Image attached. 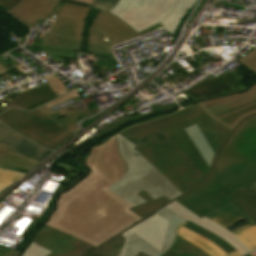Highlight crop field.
I'll return each mask as SVG.
<instances>
[{"instance_id": "1", "label": "crop field", "mask_w": 256, "mask_h": 256, "mask_svg": "<svg viewBox=\"0 0 256 256\" xmlns=\"http://www.w3.org/2000/svg\"><path fill=\"white\" fill-rule=\"evenodd\" d=\"M113 184L92 170L80 184L60 195L57 210L46 223L96 247L142 220L129 210L133 205L106 190Z\"/></svg>"}, {"instance_id": "2", "label": "crop field", "mask_w": 256, "mask_h": 256, "mask_svg": "<svg viewBox=\"0 0 256 256\" xmlns=\"http://www.w3.org/2000/svg\"><path fill=\"white\" fill-rule=\"evenodd\" d=\"M255 179L256 115L241 122L228 138L205 182L176 201L201 219L231 203L244 218L255 225L228 195L245 190Z\"/></svg>"}, {"instance_id": "3", "label": "crop field", "mask_w": 256, "mask_h": 256, "mask_svg": "<svg viewBox=\"0 0 256 256\" xmlns=\"http://www.w3.org/2000/svg\"><path fill=\"white\" fill-rule=\"evenodd\" d=\"M189 126L190 123L179 111L123 130L136 140L159 131L169 138L162 144L153 137L136 150L182 194L200 184L210 172L183 130Z\"/></svg>"}, {"instance_id": "4", "label": "crop field", "mask_w": 256, "mask_h": 256, "mask_svg": "<svg viewBox=\"0 0 256 256\" xmlns=\"http://www.w3.org/2000/svg\"><path fill=\"white\" fill-rule=\"evenodd\" d=\"M118 152L126 165L124 177L109 191L137 206L145 203L137 194L145 190L153 199L165 196L171 200L182 195L162 174L148 163L135 145L116 134Z\"/></svg>"}, {"instance_id": "5", "label": "crop field", "mask_w": 256, "mask_h": 256, "mask_svg": "<svg viewBox=\"0 0 256 256\" xmlns=\"http://www.w3.org/2000/svg\"><path fill=\"white\" fill-rule=\"evenodd\" d=\"M198 0H120L110 13L137 33L161 23L173 36L180 20Z\"/></svg>"}, {"instance_id": "6", "label": "crop field", "mask_w": 256, "mask_h": 256, "mask_svg": "<svg viewBox=\"0 0 256 256\" xmlns=\"http://www.w3.org/2000/svg\"><path fill=\"white\" fill-rule=\"evenodd\" d=\"M0 122L51 150H56L71 137L38 109L24 112L12 108L0 114Z\"/></svg>"}, {"instance_id": "7", "label": "crop field", "mask_w": 256, "mask_h": 256, "mask_svg": "<svg viewBox=\"0 0 256 256\" xmlns=\"http://www.w3.org/2000/svg\"><path fill=\"white\" fill-rule=\"evenodd\" d=\"M197 104L210 117L233 130L242 119L256 113V85L245 93Z\"/></svg>"}, {"instance_id": "8", "label": "crop field", "mask_w": 256, "mask_h": 256, "mask_svg": "<svg viewBox=\"0 0 256 256\" xmlns=\"http://www.w3.org/2000/svg\"><path fill=\"white\" fill-rule=\"evenodd\" d=\"M33 242L52 253L48 256H84L94 247L48 225H44L35 235Z\"/></svg>"}, {"instance_id": "9", "label": "crop field", "mask_w": 256, "mask_h": 256, "mask_svg": "<svg viewBox=\"0 0 256 256\" xmlns=\"http://www.w3.org/2000/svg\"><path fill=\"white\" fill-rule=\"evenodd\" d=\"M86 166L97 169L115 183L122 178L125 165L117 153L115 136L103 145L91 148L86 158Z\"/></svg>"}, {"instance_id": "10", "label": "crop field", "mask_w": 256, "mask_h": 256, "mask_svg": "<svg viewBox=\"0 0 256 256\" xmlns=\"http://www.w3.org/2000/svg\"><path fill=\"white\" fill-rule=\"evenodd\" d=\"M90 8L76 4L65 3L60 15L47 34L53 36L81 40L85 18Z\"/></svg>"}, {"instance_id": "11", "label": "crop field", "mask_w": 256, "mask_h": 256, "mask_svg": "<svg viewBox=\"0 0 256 256\" xmlns=\"http://www.w3.org/2000/svg\"><path fill=\"white\" fill-rule=\"evenodd\" d=\"M168 224L169 222L160 217L158 214L154 213L143 221L134 225L133 227L122 233L126 237V240L123 250H121L117 256H125L127 237L134 233H136L141 239L156 248L158 251H161Z\"/></svg>"}, {"instance_id": "12", "label": "crop field", "mask_w": 256, "mask_h": 256, "mask_svg": "<svg viewBox=\"0 0 256 256\" xmlns=\"http://www.w3.org/2000/svg\"><path fill=\"white\" fill-rule=\"evenodd\" d=\"M247 89L245 86L224 74L219 78L209 76L184 92L194 101L226 95L235 91H243Z\"/></svg>"}, {"instance_id": "13", "label": "crop field", "mask_w": 256, "mask_h": 256, "mask_svg": "<svg viewBox=\"0 0 256 256\" xmlns=\"http://www.w3.org/2000/svg\"><path fill=\"white\" fill-rule=\"evenodd\" d=\"M0 148L42 162L53 152L40 147L0 123Z\"/></svg>"}, {"instance_id": "14", "label": "crop field", "mask_w": 256, "mask_h": 256, "mask_svg": "<svg viewBox=\"0 0 256 256\" xmlns=\"http://www.w3.org/2000/svg\"><path fill=\"white\" fill-rule=\"evenodd\" d=\"M93 29L100 32L113 44L138 37V35L121 20L109 13L100 11L90 29L89 53H91Z\"/></svg>"}, {"instance_id": "15", "label": "crop field", "mask_w": 256, "mask_h": 256, "mask_svg": "<svg viewBox=\"0 0 256 256\" xmlns=\"http://www.w3.org/2000/svg\"><path fill=\"white\" fill-rule=\"evenodd\" d=\"M168 209L176 213L178 216L183 218L184 220H189L220 237L221 239L228 242L231 246H233L236 250H238L241 254L248 253L250 250L232 233L221 227L220 225L206 219L203 217L201 220L193 213L189 212L185 208H183L180 204L174 201L172 204L166 206Z\"/></svg>"}, {"instance_id": "16", "label": "crop field", "mask_w": 256, "mask_h": 256, "mask_svg": "<svg viewBox=\"0 0 256 256\" xmlns=\"http://www.w3.org/2000/svg\"><path fill=\"white\" fill-rule=\"evenodd\" d=\"M58 2L55 0H21L8 12L28 27L33 28L39 18H47Z\"/></svg>"}, {"instance_id": "17", "label": "crop field", "mask_w": 256, "mask_h": 256, "mask_svg": "<svg viewBox=\"0 0 256 256\" xmlns=\"http://www.w3.org/2000/svg\"><path fill=\"white\" fill-rule=\"evenodd\" d=\"M89 107L81 110L72 109L70 106L62 110L52 113L45 105L38 108L48 118L55 122L61 128L63 127L68 133L73 136V131L76 129L75 123L86 117H90L91 114L88 110Z\"/></svg>"}, {"instance_id": "18", "label": "crop field", "mask_w": 256, "mask_h": 256, "mask_svg": "<svg viewBox=\"0 0 256 256\" xmlns=\"http://www.w3.org/2000/svg\"><path fill=\"white\" fill-rule=\"evenodd\" d=\"M197 126L214 156L232 131L210 117L197 123ZM212 128H214V130H212Z\"/></svg>"}, {"instance_id": "19", "label": "crop field", "mask_w": 256, "mask_h": 256, "mask_svg": "<svg viewBox=\"0 0 256 256\" xmlns=\"http://www.w3.org/2000/svg\"><path fill=\"white\" fill-rule=\"evenodd\" d=\"M52 95L56 98L54 92L48 85H44L30 91L17 95L18 97L13 99L22 109H28L38 104L51 99L48 95Z\"/></svg>"}, {"instance_id": "20", "label": "crop field", "mask_w": 256, "mask_h": 256, "mask_svg": "<svg viewBox=\"0 0 256 256\" xmlns=\"http://www.w3.org/2000/svg\"><path fill=\"white\" fill-rule=\"evenodd\" d=\"M177 235L181 236L182 238L186 239L187 241L191 242L195 246L199 247L210 256H224L226 255L219 247H217L212 242L206 240L205 238L179 226L177 228Z\"/></svg>"}, {"instance_id": "21", "label": "crop field", "mask_w": 256, "mask_h": 256, "mask_svg": "<svg viewBox=\"0 0 256 256\" xmlns=\"http://www.w3.org/2000/svg\"><path fill=\"white\" fill-rule=\"evenodd\" d=\"M243 211L256 223V191L246 189L230 195Z\"/></svg>"}, {"instance_id": "22", "label": "crop field", "mask_w": 256, "mask_h": 256, "mask_svg": "<svg viewBox=\"0 0 256 256\" xmlns=\"http://www.w3.org/2000/svg\"><path fill=\"white\" fill-rule=\"evenodd\" d=\"M40 162L0 149V165L32 170Z\"/></svg>"}, {"instance_id": "23", "label": "crop field", "mask_w": 256, "mask_h": 256, "mask_svg": "<svg viewBox=\"0 0 256 256\" xmlns=\"http://www.w3.org/2000/svg\"><path fill=\"white\" fill-rule=\"evenodd\" d=\"M141 198H143L147 203L142 204L140 206L131 208L130 210L133 211L135 214H137L142 219L154 212L155 210L165 206L171 200L161 197L158 199L153 200L145 191L138 194Z\"/></svg>"}, {"instance_id": "24", "label": "crop field", "mask_w": 256, "mask_h": 256, "mask_svg": "<svg viewBox=\"0 0 256 256\" xmlns=\"http://www.w3.org/2000/svg\"><path fill=\"white\" fill-rule=\"evenodd\" d=\"M156 213H158L160 216H162L163 218H165L167 221L170 222L169 229L165 238V242L161 251V253L163 254L165 251L169 249V247L172 245V243L175 240L176 227L178 225L183 224L186 221H184L183 219H181L180 217H178L177 215H175L173 212H171L165 207Z\"/></svg>"}, {"instance_id": "25", "label": "crop field", "mask_w": 256, "mask_h": 256, "mask_svg": "<svg viewBox=\"0 0 256 256\" xmlns=\"http://www.w3.org/2000/svg\"><path fill=\"white\" fill-rule=\"evenodd\" d=\"M224 227H229L244 218L237 212V210L230 204L208 216H206Z\"/></svg>"}, {"instance_id": "26", "label": "crop field", "mask_w": 256, "mask_h": 256, "mask_svg": "<svg viewBox=\"0 0 256 256\" xmlns=\"http://www.w3.org/2000/svg\"><path fill=\"white\" fill-rule=\"evenodd\" d=\"M185 132L196 146L206 163H208V165L211 167L214 156L198 130L196 124L185 129Z\"/></svg>"}, {"instance_id": "27", "label": "crop field", "mask_w": 256, "mask_h": 256, "mask_svg": "<svg viewBox=\"0 0 256 256\" xmlns=\"http://www.w3.org/2000/svg\"><path fill=\"white\" fill-rule=\"evenodd\" d=\"M162 256H208L190 243L176 237L174 244Z\"/></svg>"}, {"instance_id": "28", "label": "crop field", "mask_w": 256, "mask_h": 256, "mask_svg": "<svg viewBox=\"0 0 256 256\" xmlns=\"http://www.w3.org/2000/svg\"><path fill=\"white\" fill-rule=\"evenodd\" d=\"M80 43L81 41L77 40L62 39L51 35H44L39 47L79 51Z\"/></svg>"}, {"instance_id": "29", "label": "crop field", "mask_w": 256, "mask_h": 256, "mask_svg": "<svg viewBox=\"0 0 256 256\" xmlns=\"http://www.w3.org/2000/svg\"><path fill=\"white\" fill-rule=\"evenodd\" d=\"M203 237H205L206 239L212 241L213 243H215L217 246H219L222 250H224L227 254L235 251L234 248H232L228 243L224 242L223 240H221L220 238H218L217 236H215L214 234H212L211 232L191 223V222H186L183 225H181Z\"/></svg>"}, {"instance_id": "30", "label": "crop field", "mask_w": 256, "mask_h": 256, "mask_svg": "<svg viewBox=\"0 0 256 256\" xmlns=\"http://www.w3.org/2000/svg\"><path fill=\"white\" fill-rule=\"evenodd\" d=\"M124 236L122 234L116 236L111 239L104 245L100 246L96 250L92 251V253L99 254L102 256H116L118 252L121 250L124 243Z\"/></svg>"}, {"instance_id": "31", "label": "crop field", "mask_w": 256, "mask_h": 256, "mask_svg": "<svg viewBox=\"0 0 256 256\" xmlns=\"http://www.w3.org/2000/svg\"><path fill=\"white\" fill-rule=\"evenodd\" d=\"M140 251L149 256L162 255L160 252H158L153 247L145 243L143 240L139 239L128 244L126 256H136Z\"/></svg>"}, {"instance_id": "32", "label": "crop field", "mask_w": 256, "mask_h": 256, "mask_svg": "<svg viewBox=\"0 0 256 256\" xmlns=\"http://www.w3.org/2000/svg\"><path fill=\"white\" fill-rule=\"evenodd\" d=\"M24 175L26 174L16 172V171L0 169V191H3L8 187H10L12 184L17 182Z\"/></svg>"}, {"instance_id": "33", "label": "crop field", "mask_w": 256, "mask_h": 256, "mask_svg": "<svg viewBox=\"0 0 256 256\" xmlns=\"http://www.w3.org/2000/svg\"><path fill=\"white\" fill-rule=\"evenodd\" d=\"M140 118H142V116L139 113H137V114L126 116L118 121L111 122L108 125L104 126L103 129L95 136V138L97 139L127 123H130Z\"/></svg>"}, {"instance_id": "34", "label": "crop field", "mask_w": 256, "mask_h": 256, "mask_svg": "<svg viewBox=\"0 0 256 256\" xmlns=\"http://www.w3.org/2000/svg\"><path fill=\"white\" fill-rule=\"evenodd\" d=\"M182 113L185 115L191 125L208 117V115L198 105L182 110Z\"/></svg>"}, {"instance_id": "35", "label": "crop field", "mask_w": 256, "mask_h": 256, "mask_svg": "<svg viewBox=\"0 0 256 256\" xmlns=\"http://www.w3.org/2000/svg\"><path fill=\"white\" fill-rule=\"evenodd\" d=\"M251 250L256 249V226L236 234Z\"/></svg>"}, {"instance_id": "36", "label": "crop field", "mask_w": 256, "mask_h": 256, "mask_svg": "<svg viewBox=\"0 0 256 256\" xmlns=\"http://www.w3.org/2000/svg\"><path fill=\"white\" fill-rule=\"evenodd\" d=\"M79 55L80 56L88 55L89 61H97L99 67L105 65L112 72V70L110 69L109 65L106 62V61L115 60V58L113 57L112 54L101 55V54H83V53H79Z\"/></svg>"}, {"instance_id": "37", "label": "crop field", "mask_w": 256, "mask_h": 256, "mask_svg": "<svg viewBox=\"0 0 256 256\" xmlns=\"http://www.w3.org/2000/svg\"><path fill=\"white\" fill-rule=\"evenodd\" d=\"M101 37L103 36L100 33L94 31L92 53L105 54L106 41L103 40Z\"/></svg>"}, {"instance_id": "38", "label": "crop field", "mask_w": 256, "mask_h": 256, "mask_svg": "<svg viewBox=\"0 0 256 256\" xmlns=\"http://www.w3.org/2000/svg\"><path fill=\"white\" fill-rule=\"evenodd\" d=\"M121 135L122 137H124L125 139L129 140L130 142H132L133 144L136 145V148L138 146H140L141 144H143L145 141H147L148 139H150L151 137H155L157 138L159 141H161L162 143L167 140L168 138L166 136H164L161 132L159 133H156V134H152V135H149V136H146L138 141L134 140L133 138H131L129 135H127L126 133H121L119 134Z\"/></svg>"}, {"instance_id": "39", "label": "crop field", "mask_w": 256, "mask_h": 256, "mask_svg": "<svg viewBox=\"0 0 256 256\" xmlns=\"http://www.w3.org/2000/svg\"><path fill=\"white\" fill-rule=\"evenodd\" d=\"M49 251L31 242L30 247L24 252L22 256H46Z\"/></svg>"}, {"instance_id": "40", "label": "crop field", "mask_w": 256, "mask_h": 256, "mask_svg": "<svg viewBox=\"0 0 256 256\" xmlns=\"http://www.w3.org/2000/svg\"><path fill=\"white\" fill-rule=\"evenodd\" d=\"M239 61L252 72H256V49Z\"/></svg>"}, {"instance_id": "41", "label": "crop field", "mask_w": 256, "mask_h": 256, "mask_svg": "<svg viewBox=\"0 0 256 256\" xmlns=\"http://www.w3.org/2000/svg\"><path fill=\"white\" fill-rule=\"evenodd\" d=\"M75 97L79 98L80 96L77 93L76 89L73 88L69 93H67V94H65V95H63V96H61V97H59V98H57V99H55V100L45 104V105L48 108H50L52 106H55L57 104H60L62 102H65V101L70 100V99L75 98Z\"/></svg>"}, {"instance_id": "42", "label": "crop field", "mask_w": 256, "mask_h": 256, "mask_svg": "<svg viewBox=\"0 0 256 256\" xmlns=\"http://www.w3.org/2000/svg\"><path fill=\"white\" fill-rule=\"evenodd\" d=\"M119 0H96L93 8L110 11Z\"/></svg>"}, {"instance_id": "43", "label": "crop field", "mask_w": 256, "mask_h": 256, "mask_svg": "<svg viewBox=\"0 0 256 256\" xmlns=\"http://www.w3.org/2000/svg\"><path fill=\"white\" fill-rule=\"evenodd\" d=\"M43 51H45L50 56H59V57H71L76 58L74 52L71 51H65V50H53V49H43L39 48Z\"/></svg>"}, {"instance_id": "44", "label": "crop field", "mask_w": 256, "mask_h": 256, "mask_svg": "<svg viewBox=\"0 0 256 256\" xmlns=\"http://www.w3.org/2000/svg\"><path fill=\"white\" fill-rule=\"evenodd\" d=\"M19 253V251L11 250L3 246H0V256H18Z\"/></svg>"}, {"instance_id": "45", "label": "crop field", "mask_w": 256, "mask_h": 256, "mask_svg": "<svg viewBox=\"0 0 256 256\" xmlns=\"http://www.w3.org/2000/svg\"><path fill=\"white\" fill-rule=\"evenodd\" d=\"M78 101H80V100H79V99H77V100L72 99V100L67 101V102H65V103H62V104H60V105H57V106H55V107H52V108H50V110H51L52 112H54V111L59 110V109H61V108L67 107V106H69V105H72V104H74V103H76V102H78Z\"/></svg>"}, {"instance_id": "46", "label": "crop field", "mask_w": 256, "mask_h": 256, "mask_svg": "<svg viewBox=\"0 0 256 256\" xmlns=\"http://www.w3.org/2000/svg\"><path fill=\"white\" fill-rule=\"evenodd\" d=\"M249 227H251V224H248V225H246V226H244V227H242V228H239V229L233 231V233L235 234V233H237V232H239V231H241V230H244V229H246V228H249Z\"/></svg>"}, {"instance_id": "47", "label": "crop field", "mask_w": 256, "mask_h": 256, "mask_svg": "<svg viewBox=\"0 0 256 256\" xmlns=\"http://www.w3.org/2000/svg\"><path fill=\"white\" fill-rule=\"evenodd\" d=\"M137 239H139V237L135 234V235L128 238V243L131 242V241L137 240Z\"/></svg>"}, {"instance_id": "48", "label": "crop field", "mask_w": 256, "mask_h": 256, "mask_svg": "<svg viewBox=\"0 0 256 256\" xmlns=\"http://www.w3.org/2000/svg\"><path fill=\"white\" fill-rule=\"evenodd\" d=\"M9 71H7L6 69H4L2 66H0V75L4 74V73H8Z\"/></svg>"}, {"instance_id": "49", "label": "crop field", "mask_w": 256, "mask_h": 256, "mask_svg": "<svg viewBox=\"0 0 256 256\" xmlns=\"http://www.w3.org/2000/svg\"><path fill=\"white\" fill-rule=\"evenodd\" d=\"M248 188L256 190V180Z\"/></svg>"}, {"instance_id": "50", "label": "crop field", "mask_w": 256, "mask_h": 256, "mask_svg": "<svg viewBox=\"0 0 256 256\" xmlns=\"http://www.w3.org/2000/svg\"><path fill=\"white\" fill-rule=\"evenodd\" d=\"M227 256H241V254L239 252L235 251Z\"/></svg>"}, {"instance_id": "51", "label": "crop field", "mask_w": 256, "mask_h": 256, "mask_svg": "<svg viewBox=\"0 0 256 256\" xmlns=\"http://www.w3.org/2000/svg\"><path fill=\"white\" fill-rule=\"evenodd\" d=\"M78 1H82V2H86V3L92 4V2H93L94 0H78Z\"/></svg>"}, {"instance_id": "52", "label": "crop field", "mask_w": 256, "mask_h": 256, "mask_svg": "<svg viewBox=\"0 0 256 256\" xmlns=\"http://www.w3.org/2000/svg\"><path fill=\"white\" fill-rule=\"evenodd\" d=\"M61 1H62V0H61ZM69 1H73V2H77V3H80V4H84V5L90 6V4H86V3H82V2H78V1H74V0H69Z\"/></svg>"}, {"instance_id": "53", "label": "crop field", "mask_w": 256, "mask_h": 256, "mask_svg": "<svg viewBox=\"0 0 256 256\" xmlns=\"http://www.w3.org/2000/svg\"><path fill=\"white\" fill-rule=\"evenodd\" d=\"M87 256H99V255H95V254L90 253Z\"/></svg>"}, {"instance_id": "54", "label": "crop field", "mask_w": 256, "mask_h": 256, "mask_svg": "<svg viewBox=\"0 0 256 256\" xmlns=\"http://www.w3.org/2000/svg\"><path fill=\"white\" fill-rule=\"evenodd\" d=\"M251 255H252V256H256V251H255V252H253V253H251Z\"/></svg>"}]
</instances>
